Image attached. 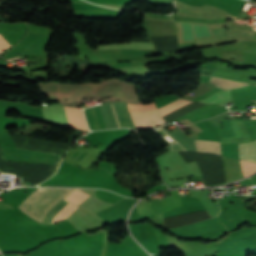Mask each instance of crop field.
Listing matches in <instances>:
<instances>
[{
  "label": "crop field",
  "mask_w": 256,
  "mask_h": 256,
  "mask_svg": "<svg viewBox=\"0 0 256 256\" xmlns=\"http://www.w3.org/2000/svg\"><path fill=\"white\" fill-rule=\"evenodd\" d=\"M74 189L38 188L18 207L29 217L42 223L48 211Z\"/></svg>",
  "instance_id": "1"
},
{
  "label": "crop field",
  "mask_w": 256,
  "mask_h": 256,
  "mask_svg": "<svg viewBox=\"0 0 256 256\" xmlns=\"http://www.w3.org/2000/svg\"><path fill=\"white\" fill-rule=\"evenodd\" d=\"M45 120L61 126H70L88 130L82 109L64 107L61 105L42 106ZM69 126V127H70Z\"/></svg>",
  "instance_id": "2"
},
{
  "label": "crop field",
  "mask_w": 256,
  "mask_h": 256,
  "mask_svg": "<svg viewBox=\"0 0 256 256\" xmlns=\"http://www.w3.org/2000/svg\"><path fill=\"white\" fill-rule=\"evenodd\" d=\"M68 203V201L66 200H61L59 204L55 205L47 214L45 220L43 223H50L52 218L55 216V214L61 209L63 208L66 204ZM104 203L92 198L91 196L88 197L86 200H84L83 202H81L79 205V207L84 208L88 211H91L101 205H103ZM77 207L68 203L63 209H61L56 216L53 218L51 223L57 222V221H61L63 220L66 216H68L73 210H75ZM74 212V211H73ZM67 218V217H66Z\"/></svg>",
  "instance_id": "3"
},
{
  "label": "crop field",
  "mask_w": 256,
  "mask_h": 256,
  "mask_svg": "<svg viewBox=\"0 0 256 256\" xmlns=\"http://www.w3.org/2000/svg\"><path fill=\"white\" fill-rule=\"evenodd\" d=\"M130 114L134 120L136 129H146L165 123V121L158 114L157 110L147 112H132Z\"/></svg>",
  "instance_id": "4"
},
{
  "label": "crop field",
  "mask_w": 256,
  "mask_h": 256,
  "mask_svg": "<svg viewBox=\"0 0 256 256\" xmlns=\"http://www.w3.org/2000/svg\"><path fill=\"white\" fill-rule=\"evenodd\" d=\"M231 124L235 137L222 138V144L251 141V138L241 121L231 120Z\"/></svg>",
  "instance_id": "5"
},
{
  "label": "crop field",
  "mask_w": 256,
  "mask_h": 256,
  "mask_svg": "<svg viewBox=\"0 0 256 256\" xmlns=\"http://www.w3.org/2000/svg\"><path fill=\"white\" fill-rule=\"evenodd\" d=\"M111 104L106 103V104H103V105L99 106L102 117H103V120H104L105 125H106V128L107 129H114V128H119V127L121 128L120 123H119L118 118H117V115H116V112H115V109H114L113 104H112L114 113L116 115V118H117V121H118V124H119V127H118V124H117L116 118L114 116Z\"/></svg>",
  "instance_id": "6"
},
{
  "label": "crop field",
  "mask_w": 256,
  "mask_h": 256,
  "mask_svg": "<svg viewBox=\"0 0 256 256\" xmlns=\"http://www.w3.org/2000/svg\"><path fill=\"white\" fill-rule=\"evenodd\" d=\"M239 159L256 162V141L248 144H238Z\"/></svg>",
  "instance_id": "7"
},
{
  "label": "crop field",
  "mask_w": 256,
  "mask_h": 256,
  "mask_svg": "<svg viewBox=\"0 0 256 256\" xmlns=\"http://www.w3.org/2000/svg\"><path fill=\"white\" fill-rule=\"evenodd\" d=\"M44 39V36L38 35V37L33 40L29 46L21 51L19 57L37 56Z\"/></svg>",
  "instance_id": "8"
},
{
  "label": "crop field",
  "mask_w": 256,
  "mask_h": 256,
  "mask_svg": "<svg viewBox=\"0 0 256 256\" xmlns=\"http://www.w3.org/2000/svg\"><path fill=\"white\" fill-rule=\"evenodd\" d=\"M232 100V97H231V93L229 90H225V91H219L213 95H211L210 97L204 99V100H201L199 102H202V103H218V104H225L227 103L228 101Z\"/></svg>",
  "instance_id": "9"
},
{
  "label": "crop field",
  "mask_w": 256,
  "mask_h": 256,
  "mask_svg": "<svg viewBox=\"0 0 256 256\" xmlns=\"http://www.w3.org/2000/svg\"><path fill=\"white\" fill-rule=\"evenodd\" d=\"M198 151L220 154V142L194 140Z\"/></svg>",
  "instance_id": "10"
},
{
  "label": "crop field",
  "mask_w": 256,
  "mask_h": 256,
  "mask_svg": "<svg viewBox=\"0 0 256 256\" xmlns=\"http://www.w3.org/2000/svg\"><path fill=\"white\" fill-rule=\"evenodd\" d=\"M109 48H139L153 50L151 43H127V44H109L99 45L98 49H109Z\"/></svg>",
  "instance_id": "11"
},
{
  "label": "crop field",
  "mask_w": 256,
  "mask_h": 256,
  "mask_svg": "<svg viewBox=\"0 0 256 256\" xmlns=\"http://www.w3.org/2000/svg\"><path fill=\"white\" fill-rule=\"evenodd\" d=\"M190 103H192V102L182 100V99H178L174 102H171V103H169L165 106H162V107L158 108V110H159L160 114L163 117V116H165V115H167V114H169V113H171V112H173V111H175V110H177V109H179V108H181V107H183L187 104H190Z\"/></svg>",
  "instance_id": "12"
},
{
  "label": "crop field",
  "mask_w": 256,
  "mask_h": 256,
  "mask_svg": "<svg viewBox=\"0 0 256 256\" xmlns=\"http://www.w3.org/2000/svg\"><path fill=\"white\" fill-rule=\"evenodd\" d=\"M210 82H213L217 86L223 87V88H226V89H233V88H237V87H240V86L247 85L245 83H240V82H235V81H228V80H222V79H218V78H214V77H212Z\"/></svg>",
  "instance_id": "13"
},
{
  "label": "crop field",
  "mask_w": 256,
  "mask_h": 256,
  "mask_svg": "<svg viewBox=\"0 0 256 256\" xmlns=\"http://www.w3.org/2000/svg\"><path fill=\"white\" fill-rule=\"evenodd\" d=\"M242 167L243 175L247 176L256 172V163L248 161H239Z\"/></svg>",
  "instance_id": "14"
},
{
  "label": "crop field",
  "mask_w": 256,
  "mask_h": 256,
  "mask_svg": "<svg viewBox=\"0 0 256 256\" xmlns=\"http://www.w3.org/2000/svg\"><path fill=\"white\" fill-rule=\"evenodd\" d=\"M129 107V112L132 111H147V110H154L156 109L155 103L149 104V105H144V106H137V105H130L127 104Z\"/></svg>",
  "instance_id": "15"
},
{
  "label": "crop field",
  "mask_w": 256,
  "mask_h": 256,
  "mask_svg": "<svg viewBox=\"0 0 256 256\" xmlns=\"http://www.w3.org/2000/svg\"><path fill=\"white\" fill-rule=\"evenodd\" d=\"M145 18L162 19V20H170V21H173L172 18H171V16H162V15L146 14Z\"/></svg>",
  "instance_id": "16"
},
{
  "label": "crop field",
  "mask_w": 256,
  "mask_h": 256,
  "mask_svg": "<svg viewBox=\"0 0 256 256\" xmlns=\"http://www.w3.org/2000/svg\"><path fill=\"white\" fill-rule=\"evenodd\" d=\"M115 70L125 72V71L148 70V69L146 67H126V68H120Z\"/></svg>",
  "instance_id": "17"
},
{
  "label": "crop field",
  "mask_w": 256,
  "mask_h": 256,
  "mask_svg": "<svg viewBox=\"0 0 256 256\" xmlns=\"http://www.w3.org/2000/svg\"><path fill=\"white\" fill-rule=\"evenodd\" d=\"M10 45L5 41V39L0 35V54L8 48Z\"/></svg>",
  "instance_id": "18"
}]
</instances>
